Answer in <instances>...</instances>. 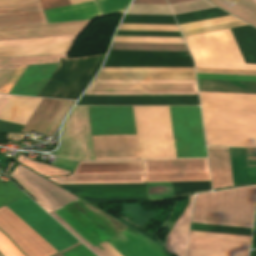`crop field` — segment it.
<instances>
[{"label": "crop field", "instance_id": "8a807250", "mask_svg": "<svg viewBox=\"0 0 256 256\" xmlns=\"http://www.w3.org/2000/svg\"><path fill=\"white\" fill-rule=\"evenodd\" d=\"M6 207L58 251L78 242L27 196ZM6 207L0 208V229L25 255L50 256L58 252Z\"/></svg>", "mask_w": 256, "mask_h": 256}, {"label": "crop field", "instance_id": "ac0d7876", "mask_svg": "<svg viewBox=\"0 0 256 256\" xmlns=\"http://www.w3.org/2000/svg\"><path fill=\"white\" fill-rule=\"evenodd\" d=\"M11 177L26 191H28L32 197L36 200V202L41 205L47 212H49L55 219H57L62 225H64L70 232H72L78 239H80L86 246L90 249L93 248L92 245L84 241L77 232H75L68 224H66L59 216H57L53 211L62 207L63 205L77 199L76 197L70 195L69 193L63 191L62 189L54 186L53 184L47 182L46 180L38 177L37 175L31 173L30 171L26 170L25 168L18 165L15 169L14 173ZM49 187L50 189L61 193L50 192L47 190L43 185ZM111 244L118 252H120L123 256H167L161 246L152 242L151 240L147 239L140 233L132 230L127 229L124 232L118 234L117 236L113 237L112 239L107 241ZM107 242L102 243L105 247L101 244L99 246L92 249V251L98 256H122L118 253L111 245Z\"/></svg>", "mask_w": 256, "mask_h": 256}, {"label": "crop field", "instance_id": "34b2d1b8", "mask_svg": "<svg viewBox=\"0 0 256 256\" xmlns=\"http://www.w3.org/2000/svg\"><path fill=\"white\" fill-rule=\"evenodd\" d=\"M92 136H136L132 107H88ZM95 160L140 159L136 137H92Z\"/></svg>", "mask_w": 256, "mask_h": 256}, {"label": "crop field", "instance_id": "412701ff", "mask_svg": "<svg viewBox=\"0 0 256 256\" xmlns=\"http://www.w3.org/2000/svg\"><path fill=\"white\" fill-rule=\"evenodd\" d=\"M256 186L196 195L192 222L252 227Z\"/></svg>", "mask_w": 256, "mask_h": 256}, {"label": "crop field", "instance_id": "f4fd0767", "mask_svg": "<svg viewBox=\"0 0 256 256\" xmlns=\"http://www.w3.org/2000/svg\"><path fill=\"white\" fill-rule=\"evenodd\" d=\"M199 95L205 128L256 131V94Z\"/></svg>", "mask_w": 256, "mask_h": 256}, {"label": "crop field", "instance_id": "dd49c442", "mask_svg": "<svg viewBox=\"0 0 256 256\" xmlns=\"http://www.w3.org/2000/svg\"><path fill=\"white\" fill-rule=\"evenodd\" d=\"M141 159L176 158L168 107H133Z\"/></svg>", "mask_w": 256, "mask_h": 256}, {"label": "crop field", "instance_id": "e52e79f7", "mask_svg": "<svg viewBox=\"0 0 256 256\" xmlns=\"http://www.w3.org/2000/svg\"><path fill=\"white\" fill-rule=\"evenodd\" d=\"M196 67L253 69L245 64L229 29L184 38Z\"/></svg>", "mask_w": 256, "mask_h": 256}, {"label": "crop field", "instance_id": "d8731c3e", "mask_svg": "<svg viewBox=\"0 0 256 256\" xmlns=\"http://www.w3.org/2000/svg\"><path fill=\"white\" fill-rule=\"evenodd\" d=\"M143 172L142 161L80 162L72 174ZM140 174H89L51 178L59 185L145 183Z\"/></svg>", "mask_w": 256, "mask_h": 256}, {"label": "crop field", "instance_id": "5a996713", "mask_svg": "<svg viewBox=\"0 0 256 256\" xmlns=\"http://www.w3.org/2000/svg\"><path fill=\"white\" fill-rule=\"evenodd\" d=\"M85 95H197V92L195 81H94Z\"/></svg>", "mask_w": 256, "mask_h": 256}, {"label": "crop field", "instance_id": "3316defc", "mask_svg": "<svg viewBox=\"0 0 256 256\" xmlns=\"http://www.w3.org/2000/svg\"><path fill=\"white\" fill-rule=\"evenodd\" d=\"M177 158L206 157L199 107H169Z\"/></svg>", "mask_w": 256, "mask_h": 256}, {"label": "crop field", "instance_id": "28ad6ade", "mask_svg": "<svg viewBox=\"0 0 256 256\" xmlns=\"http://www.w3.org/2000/svg\"><path fill=\"white\" fill-rule=\"evenodd\" d=\"M58 156L94 160L87 107H75L67 118Z\"/></svg>", "mask_w": 256, "mask_h": 256}, {"label": "crop field", "instance_id": "d1516ede", "mask_svg": "<svg viewBox=\"0 0 256 256\" xmlns=\"http://www.w3.org/2000/svg\"><path fill=\"white\" fill-rule=\"evenodd\" d=\"M251 237L191 231L186 256H248Z\"/></svg>", "mask_w": 256, "mask_h": 256}, {"label": "crop field", "instance_id": "22f410ed", "mask_svg": "<svg viewBox=\"0 0 256 256\" xmlns=\"http://www.w3.org/2000/svg\"><path fill=\"white\" fill-rule=\"evenodd\" d=\"M147 182L210 180L206 159L144 161Z\"/></svg>", "mask_w": 256, "mask_h": 256}, {"label": "crop field", "instance_id": "cbeb9de0", "mask_svg": "<svg viewBox=\"0 0 256 256\" xmlns=\"http://www.w3.org/2000/svg\"><path fill=\"white\" fill-rule=\"evenodd\" d=\"M104 67H194L189 53L110 51Z\"/></svg>", "mask_w": 256, "mask_h": 256}, {"label": "crop field", "instance_id": "5142ce71", "mask_svg": "<svg viewBox=\"0 0 256 256\" xmlns=\"http://www.w3.org/2000/svg\"><path fill=\"white\" fill-rule=\"evenodd\" d=\"M77 105H199L197 96H83Z\"/></svg>", "mask_w": 256, "mask_h": 256}, {"label": "crop field", "instance_id": "d9b57169", "mask_svg": "<svg viewBox=\"0 0 256 256\" xmlns=\"http://www.w3.org/2000/svg\"><path fill=\"white\" fill-rule=\"evenodd\" d=\"M91 22L0 29V41L80 35Z\"/></svg>", "mask_w": 256, "mask_h": 256}, {"label": "crop field", "instance_id": "733c2abd", "mask_svg": "<svg viewBox=\"0 0 256 256\" xmlns=\"http://www.w3.org/2000/svg\"><path fill=\"white\" fill-rule=\"evenodd\" d=\"M58 64L29 66L9 94L37 96Z\"/></svg>", "mask_w": 256, "mask_h": 256}, {"label": "crop field", "instance_id": "4a817a6b", "mask_svg": "<svg viewBox=\"0 0 256 256\" xmlns=\"http://www.w3.org/2000/svg\"><path fill=\"white\" fill-rule=\"evenodd\" d=\"M46 23L40 3L0 8V27Z\"/></svg>", "mask_w": 256, "mask_h": 256}, {"label": "crop field", "instance_id": "bc2a9ffb", "mask_svg": "<svg viewBox=\"0 0 256 256\" xmlns=\"http://www.w3.org/2000/svg\"><path fill=\"white\" fill-rule=\"evenodd\" d=\"M47 23L102 17L96 1L43 11Z\"/></svg>", "mask_w": 256, "mask_h": 256}, {"label": "crop field", "instance_id": "214f88e0", "mask_svg": "<svg viewBox=\"0 0 256 256\" xmlns=\"http://www.w3.org/2000/svg\"><path fill=\"white\" fill-rule=\"evenodd\" d=\"M207 145L256 147V132L205 129Z\"/></svg>", "mask_w": 256, "mask_h": 256}, {"label": "crop field", "instance_id": "92a150f3", "mask_svg": "<svg viewBox=\"0 0 256 256\" xmlns=\"http://www.w3.org/2000/svg\"><path fill=\"white\" fill-rule=\"evenodd\" d=\"M213 188L232 186L227 148L207 147Z\"/></svg>", "mask_w": 256, "mask_h": 256}, {"label": "crop field", "instance_id": "dafd665d", "mask_svg": "<svg viewBox=\"0 0 256 256\" xmlns=\"http://www.w3.org/2000/svg\"><path fill=\"white\" fill-rule=\"evenodd\" d=\"M194 196L189 198V206L179 220L175 223L173 229L166 237V249L178 256H184L186 242L188 237L191 212Z\"/></svg>", "mask_w": 256, "mask_h": 256}, {"label": "crop field", "instance_id": "00972430", "mask_svg": "<svg viewBox=\"0 0 256 256\" xmlns=\"http://www.w3.org/2000/svg\"><path fill=\"white\" fill-rule=\"evenodd\" d=\"M41 99L12 96L0 115V120L25 125Z\"/></svg>", "mask_w": 256, "mask_h": 256}, {"label": "crop field", "instance_id": "a9b5d70f", "mask_svg": "<svg viewBox=\"0 0 256 256\" xmlns=\"http://www.w3.org/2000/svg\"><path fill=\"white\" fill-rule=\"evenodd\" d=\"M64 103L65 101L61 100L43 99L29 121L26 123L23 132L29 133L32 128L43 135Z\"/></svg>", "mask_w": 256, "mask_h": 256}, {"label": "crop field", "instance_id": "4177f3b9", "mask_svg": "<svg viewBox=\"0 0 256 256\" xmlns=\"http://www.w3.org/2000/svg\"><path fill=\"white\" fill-rule=\"evenodd\" d=\"M71 45L72 43L0 48V57L66 53Z\"/></svg>", "mask_w": 256, "mask_h": 256}, {"label": "crop field", "instance_id": "730fd06b", "mask_svg": "<svg viewBox=\"0 0 256 256\" xmlns=\"http://www.w3.org/2000/svg\"><path fill=\"white\" fill-rule=\"evenodd\" d=\"M214 4L233 13L256 26V0H210Z\"/></svg>", "mask_w": 256, "mask_h": 256}, {"label": "crop field", "instance_id": "eef30255", "mask_svg": "<svg viewBox=\"0 0 256 256\" xmlns=\"http://www.w3.org/2000/svg\"><path fill=\"white\" fill-rule=\"evenodd\" d=\"M112 50L188 52L185 44L113 43Z\"/></svg>", "mask_w": 256, "mask_h": 256}, {"label": "crop field", "instance_id": "ae1a2a85", "mask_svg": "<svg viewBox=\"0 0 256 256\" xmlns=\"http://www.w3.org/2000/svg\"><path fill=\"white\" fill-rule=\"evenodd\" d=\"M59 58H66V54L34 57L0 58V66L58 63Z\"/></svg>", "mask_w": 256, "mask_h": 256}, {"label": "crop field", "instance_id": "d3111659", "mask_svg": "<svg viewBox=\"0 0 256 256\" xmlns=\"http://www.w3.org/2000/svg\"><path fill=\"white\" fill-rule=\"evenodd\" d=\"M18 161L44 177L63 176L70 174V172L36 162L22 155L20 156Z\"/></svg>", "mask_w": 256, "mask_h": 256}, {"label": "crop field", "instance_id": "750c4746", "mask_svg": "<svg viewBox=\"0 0 256 256\" xmlns=\"http://www.w3.org/2000/svg\"><path fill=\"white\" fill-rule=\"evenodd\" d=\"M127 14L172 15L167 5L131 4Z\"/></svg>", "mask_w": 256, "mask_h": 256}, {"label": "crop field", "instance_id": "bd1437ed", "mask_svg": "<svg viewBox=\"0 0 256 256\" xmlns=\"http://www.w3.org/2000/svg\"><path fill=\"white\" fill-rule=\"evenodd\" d=\"M76 37L77 36L32 39V40H18V41H4V42H0V47L74 42Z\"/></svg>", "mask_w": 256, "mask_h": 256}, {"label": "crop field", "instance_id": "1d83c4d3", "mask_svg": "<svg viewBox=\"0 0 256 256\" xmlns=\"http://www.w3.org/2000/svg\"><path fill=\"white\" fill-rule=\"evenodd\" d=\"M191 230L251 236L252 230L245 228L221 227L192 224Z\"/></svg>", "mask_w": 256, "mask_h": 256}, {"label": "crop field", "instance_id": "120bbe31", "mask_svg": "<svg viewBox=\"0 0 256 256\" xmlns=\"http://www.w3.org/2000/svg\"><path fill=\"white\" fill-rule=\"evenodd\" d=\"M23 196H25V194L9 181L5 183L0 181V207Z\"/></svg>", "mask_w": 256, "mask_h": 256}, {"label": "crop field", "instance_id": "d32e631a", "mask_svg": "<svg viewBox=\"0 0 256 256\" xmlns=\"http://www.w3.org/2000/svg\"><path fill=\"white\" fill-rule=\"evenodd\" d=\"M149 199L174 196L171 182L147 183Z\"/></svg>", "mask_w": 256, "mask_h": 256}, {"label": "crop field", "instance_id": "5866460e", "mask_svg": "<svg viewBox=\"0 0 256 256\" xmlns=\"http://www.w3.org/2000/svg\"><path fill=\"white\" fill-rule=\"evenodd\" d=\"M170 6L175 15L209 9V8H214V6H212L205 0H195V1H190V2L173 4Z\"/></svg>", "mask_w": 256, "mask_h": 256}, {"label": "crop field", "instance_id": "028f5c9d", "mask_svg": "<svg viewBox=\"0 0 256 256\" xmlns=\"http://www.w3.org/2000/svg\"><path fill=\"white\" fill-rule=\"evenodd\" d=\"M101 72H194V68H102Z\"/></svg>", "mask_w": 256, "mask_h": 256}, {"label": "crop field", "instance_id": "e1f06a70", "mask_svg": "<svg viewBox=\"0 0 256 256\" xmlns=\"http://www.w3.org/2000/svg\"><path fill=\"white\" fill-rule=\"evenodd\" d=\"M104 15L125 11L131 0H97Z\"/></svg>", "mask_w": 256, "mask_h": 256}, {"label": "crop field", "instance_id": "0bd39190", "mask_svg": "<svg viewBox=\"0 0 256 256\" xmlns=\"http://www.w3.org/2000/svg\"><path fill=\"white\" fill-rule=\"evenodd\" d=\"M118 30L179 31L176 25L120 24Z\"/></svg>", "mask_w": 256, "mask_h": 256}, {"label": "crop field", "instance_id": "b80d0937", "mask_svg": "<svg viewBox=\"0 0 256 256\" xmlns=\"http://www.w3.org/2000/svg\"><path fill=\"white\" fill-rule=\"evenodd\" d=\"M233 21H239V20L232 16H228V17L204 20V21H199V22L181 24L179 26H180L181 30L184 31V30L201 28V27L217 25V24H222V23H228V22H233Z\"/></svg>", "mask_w": 256, "mask_h": 256}, {"label": "crop field", "instance_id": "c035e120", "mask_svg": "<svg viewBox=\"0 0 256 256\" xmlns=\"http://www.w3.org/2000/svg\"><path fill=\"white\" fill-rule=\"evenodd\" d=\"M113 42H167L184 43L183 38L115 37Z\"/></svg>", "mask_w": 256, "mask_h": 256}, {"label": "crop field", "instance_id": "c21b1889", "mask_svg": "<svg viewBox=\"0 0 256 256\" xmlns=\"http://www.w3.org/2000/svg\"><path fill=\"white\" fill-rule=\"evenodd\" d=\"M246 25L247 24H245L244 22L239 21V22L222 24V25H217V26H212V27L184 31L182 33H183V36L186 37V36H191V35H196V34H201V33H206V32H212V31H217V30H222V29H227V28L246 26Z\"/></svg>", "mask_w": 256, "mask_h": 256}, {"label": "crop field", "instance_id": "03da06ac", "mask_svg": "<svg viewBox=\"0 0 256 256\" xmlns=\"http://www.w3.org/2000/svg\"><path fill=\"white\" fill-rule=\"evenodd\" d=\"M0 253L3 256H24L16 246L0 232Z\"/></svg>", "mask_w": 256, "mask_h": 256}, {"label": "crop field", "instance_id": "b54c1fbb", "mask_svg": "<svg viewBox=\"0 0 256 256\" xmlns=\"http://www.w3.org/2000/svg\"><path fill=\"white\" fill-rule=\"evenodd\" d=\"M246 151H247L249 166L256 165V150L246 149ZM246 162H247V158H246ZM247 166H248V164H247ZM247 169H248L250 183L256 182V166L247 167Z\"/></svg>", "mask_w": 256, "mask_h": 256}, {"label": "crop field", "instance_id": "5d738f31", "mask_svg": "<svg viewBox=\"0 0 256 256\" xmlns=\"http://www.w3.org/2000/svg\"><path fill=\"white\" fill-rule=\"evenodd\" d=\"M27 67L28 66H18V68L15 70V72L10 77L0 93L8 94L12 87L15 85V83L18 81V79L21 77V75L24 73V71L27 69Z\"/></svg>", "mask_w": 256, "mask_h": 256}, {"label": "crop field", "instance_id": "d23c7cc5", "mask_svg": "<svg viewBox=\"0 0 256 256\" xmlns=\"http://www.w3.org/2000/svg\"><path fill=\"white\" fill-rule=\"evenodd\" d=\"M197 78L256 81V77H254V76H231V75L197 74Z\"/></svg>", "mask_w": 256, "mask_h": 256}, {"label": "crop field", "instance_id": "425ffa30", "mask_svg": "<svg viewBox=\"0 0 256 256\" xmlns=\"http://www.w3.org/2000/svg\"><path fill=\"white\" fill-rule=\"evenodd\" d=\"M80 244L81 243H78V244H76V245H74V246H72V247H70V248L60 252V254L65 252V251H67V250H69V249H71V248H74V247H76V246H78ZM83 246L80 245V246H78V247H76V248H74L72 250H69V251L63 253V255L64 256H94V255H92L93 254L92 252H91L92 253L91 254L86 248H84L85 246L84 247Z\"/></svg>", "mask_w": 256, "mask_h": 256}, {"label": "crop field", "instance_id": "25e5ab78", "mask_svg": "<svg viewBox=\"0 0 256 256\" xmlns=\"http://www.w3.org/2000/svg\"><path fill=\"white\" fill-rule=\"evenodd\" d=\"M42 9H50L70 5L68 0H40Z\"/></svg>", "mask_w": 256, "mask_h": 256}, {"label": "crop field", "instance_id": "73cf0c24", "mask_svg": "<svg viewBox=\"0 0 256 256\" xmlns=\"http://www.w3.org/2000/svg\"><path fill=\"white\" fill-rule=\"evenodd\" d=\"M16 67H0V90L12 75Z\"/></svg>", "mask_w": 256, "mask_h": 256}, {"label": "crop field", "instance_id": "89e229c0", "mask_svg": "<svg viewBox=\"0 0 256 256\" xmlns=\"http://www.w3.org/2000/svg\"><path fill=\"white\" fill-rule=\"evenodd\" d=\"M39 0H0V7L4 6H17L32 2H37Z\"/></svg>", "mask_w": 256, "mask_h": 256}, {"label": "crop field", "instance_id": "1f2cbd36", "mask_svg": "<svg viewBox=\"0 0 256 256\" xmlns=\"http://www.w3.org/2000/svg\"><path fill=\"white\" fill-rule=\"evenodd\" d=\"M53 164L57 165L59 167L65 168L67 170L73 171L77 162L67 161V160H62V159L56 158Z\"/></svg>", "mask_w": 256, "mask_h": 256}, {"label": "crop field", "instance_id": "dbb93151", "mask_svg": "<svg viewBox=\"0 0 256 256\" xmlns=\"http://www.w3.org/2000/svg\"><path fill=\"white\" fill-rule=\"evenodd\" d=\"M133 3L167 4L165 0H134Z\"/></svg>", "mask_w": 256, "mask_h": 256}, {"label": "crop field", "instance_id": "0fb4a251", "mask_svg": "<svg viewBox=\"0 0 256 256\" xmlns=\"http://www.w3.org/2000/svg\"><path fill=\"white\" fill-rule=\"evenodd\" d=\"M11 96L8 95H0V113L3 110L4 106L8 102Z\"/></svg>", "mask_w": 256, "mask_h": 256}, {"label": "crop field", "instance_id": "1d79db26", "mask_svg": "<svg viewBox=\"0 0 256 256\" xmlns=\"http://www.w3.org/2000/svg\"><path fill=\"white\" fill-rule=\"evenodd\" d=\"M255 248H256V217H255V224H254V231H253L251 249H255Z\"/></svg>", "mask_w": 256, "mask_h": 256}, {"label": "crop field", "instance_id": "9d1cf04e", "mask_svg": "<svg viewBox=\"0 0 256 256\" xmlns=\"http://www.w3.org/2000/svg\"><path fill=\"white\" fill-rule=\"evenodd\" d=\"M22 137H23V134H8L7 139L21 140Z\"/></svg>", "mask_w": 256, "mask_h": 256}, {"label": "crop field", "instance_id": "447ae74e", "mask_svg": "<svg viewBox=\"0 0 256 256\" xmlns=\"http://www.w3.org/2000/svg\"><path fill=\"white\" fill-rule=\"evenodd\" d=\"M88 1H93V0H70L71 4H77V3L88 2Z\"/></svg>", "mask_w": 256, "mask_h": 256}, {"label": "crop field", "instance_id": "0765c3eb", "mask_svg": "<svg viewBox=\"0 0 256 256\" xmlns=\"http://www.w3.org/2000/svg\"><path fill=\"white\" fill-rule=\"evenodd\" d=\"M184 1H189V0H168L169 4L178 3V2H184Z\"/></svg>", "mask_w": 256, "mask_h": 256}, {"label": "crop field", "instance_id": "db79e9e6", "mask_svg": "<svg viewBox=\"0 0 256 256\" xmlns=\"http://www.w3.org/2000/svg\"><path fill=\"white\" fill-rule=\"evenodd\" d=\"M250 256H256V250L255 251H251V255Z\"/></svg>", "mask_w": 256, "mask_h": 256}, {"label": "crop field", "instance_id": "7b73153f", "mask_svg": "<svg viewBox=\"0 0 256 256\" xmlns=\"http://www.w3.org/2000/svg\"><path fill=\"white\" fill-rule=\"evenodd\" d=\"M53 256H61L59 253H57V254H55V255H53Z\"/></svg>", "mask_w": 256, "mask_h": 256}]
</instances>
